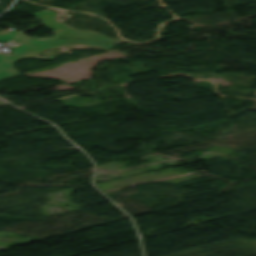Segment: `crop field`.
Wrapping results in <instances>:
<instances>
[{
  "instance_id": "crop-field-1",
  "label": "crop field",
  "mask_w": 256,
  "mask_h": 256,
  "mask_svg": "<svg viewBox=\"0 0 256 256\" xmlns=\"http://www.w3.org/2000/svg\"><path fill=\"white\" fill-rule=\"evenodd\" d=\"M42 22L56 32L53 38L45 41L26 40L24 45H20L12 50V55L0 53V79L19 74L11 64L14 60L24 57H38L37 52L46 48H76V47H99L110 49L119 40L105 37L99 33L91 31H77L64 23L56 16V13L46 9L34 12Z\"/></svg>"
},
{
  "instance_id": "crop-field-2",
  "label": "crop field",
  "mask_w": 256,
  "mask_h": 256,
  "mask_svg": "<svg viewBox=\"0 0 256 256\" xmlns=\"http://www.w3.org/2000/svg\"><path fill=\"white\" fill-rule=\"evenodd\" d=\"M17 34H19V33L14 32L10 29L4 30V31L0 32V42L8 40L10 38H13Z\"/></svg>"
}]
</instances>
